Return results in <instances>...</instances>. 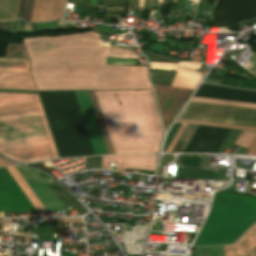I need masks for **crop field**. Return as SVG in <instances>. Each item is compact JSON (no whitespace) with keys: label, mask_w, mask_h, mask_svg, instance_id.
Instances as JSON below:
<instances>
[{"label":"crop field","mask_w":256,"mask_h":256,"mask_svg":"<svg viewBox=\"0 0 256 256\" xmlns=\"http://www.w3.org/2000/svg\"><path fill=\"white\" fill-rule=\"evenodd\" d=\"M88 4V0H83V4L82 5H86Z\"/></svg>","instance_id":"e1f06a70"},{"label":"crop field","mask_w":256,"mask_h":256,"mask_svg":"<svg viewBox=\"0 0 256 256\" xmlns=\"http://www.w3.org/2000/svg\"><path fill=\"white\" fill-rule=\"evenodd\" d=\"M256 222V198L219 194L194 246L232 244Z\"/></svg>","instance_id":"412701ff"},{"label":"crop field","mask_w":256,"mask_h":256,"mask_svg":"<svg viewBox=\"0 0 256 256\" xmlns=\"http://www.w3.org/2000/svg\"><path fill=\"white\" fill-rule=\"evenodd\" d=\"M186 4H187V0H185V4H184V8H183V10H185V8H186Z\"/></svg>","instance_id":"c035e120"},{"label":"crop field","mask_w":256,"mask_h":256,"mask_svg":"<svg viewBox=\"0 0 256 256\" xmlns=\"http://www.w3.org/2000/svg\"><path fill=\"white\" fill-rule=\"evenodd\" d=\"M77 2L81 4V3H82V0H78Z\"/></svg>","instance_id":"c21b1889"},{"label":"crop field","mask_w":256,"mask_h":256,"mask_svg":"<svg viewBox=\"0 0 256 256\" xmlns=\"http://www.w3.org/2000/svg\"><path fill=\"white\" fill-rule=\"evenodd\" d=\"M47 211H66L52 189L61 188L46 175L29 168L16 166Z\"/></svg>","instance_id":"f4fd0767"},{"label":"crop field","mask_w":256,"mask_h":256,"mask_svg":"<svg viewBox=\"0 0 256 256\" xmlns=\"http://www.w3.org/2000/svg\"><path fill=\"white\" fill-rule=\"evenodd\" d=\"M149 2H150V0H146V4H145V9H149Z\"/></svg>","instance_id":"120bbe31"},{"label":"crop field","mask_w":256,"mask_h":256,"mask_svg":"<svg viewBox=\"0 0 256 256\" xmlns=\"http://www.w3.org/2000/svg\"><path fill=\"white\" fill-rule=\"evenodd\" d=\"M194 96L256 104V91L202 84Z\"/></svg>","instance_id":"28ad6ade"},{"label":"crop field","mask_w":256,"mask_h":256,"mask_svg":"<svg viewBox=\"0 0 256 256\" xmlns=\"http://www.w3.org/2000/svg\"><path fill=\"white\" fill-rule=\"evenodd\" d=\"M255 138H256V133L255 132L241 131V133H240L239 137L237 138L235 144L250 149V147L253 144Z\"/></svg>","instance_id":"dafd665d"},{"label":"crop field","mask_w":256,"mask_h":256,"mask_svg":"<svg viewBox=\"0 0 256 256\" xmlns=\"http://www.w3.org/2000/svg\"><path fill=\"white\" fill-rule=\"evenodd\" d=\"M0 211H36L6 168H0Z\"/></svg>","instance_id":"dd49c442"},{"label":"crop field","mask_w":256,"mask_h":256,"mask_svg":"<svg viewBox=\"0 0 256 256\" xmlns=\"http://www.w3.org/2000/svg\"><path fill=\"white\" fill-rule=\"evenodd\" d=\"M0 88L36 90L30 72L0 71Z\"/></svg>","instance_id":"22f410ed"},{"label":"crop field","mask_w":256,"mask_h":256,"mask_svg":"<svg viewBox=\"0 0 256 256\" xmlns=\"http://www.w3.org/2000/svg\"><path fill=\"white\" fill-rule=\"evenodd\" d=\"M121 1V0H120ZM120 1H119V5H120Z\"/></svg>","instance_id":"b54c1fbb"},{"label":"crop field","mask_w":256,"mask_h":256,"mask_svg":"<svg viewBox=\"0 0 256 256\" xmlns=\"http://www.w3.org/2000/svg\"><path fill=\"white\" fill-rule=\"evenodd\" d=\"M14 163H11V162H8V161H5L3 159H0V166H4V165H12Z\"/></svg>","instance_id":"d3111659"},{"label":"crop field","mask_w":256,"mask_h":256,"mask_svg":"<svg viewBox=\"0 0 256 256\" xmlns=\"http://www.w3.org/2000/svg\"><path fill=\"white\" fill-rule=\"evenodd\" d=\"M206 155H183L181 166H199L204 167Z\"/></svg>","instance_id":"92a150f3"},{"label":"crop field","mask_w":256,"mask_h":256,"mask_svg":"<svg viewBox=\"0 0 256 256\" xmlns=\"http://www.w3.org/2000/svg\"><path fill=\"white\" fill-rule=\"evenodd\" d=\"M125 7H108L106 11L123 12Z\"/></svg>","instance_id":"ae1a2a85"},{"label":"crop field","mask_w":256,"mask_h":256,"mask_svg":"<svg viewBox=\"0 0 256 256\" xmlns=\"http://www.w3.org/2000/svg\"><path fill=\"white\" fill-rule=\"evenodd\" d=\"M7 170L10 172V174L13 176L15 181L18 183V185L21 187L23 192L26 194V196L29 198L31 203L34 205V207L37 210H45L43 206L40 204L36 196L33 194L27 183L24 181L20 173L17 171L15 166L8 167Z\"/></svg>","instance_id":"733c2abd"},{"label":"crop field","mask_w":256,"mask_h":256,"mask_svg":"<svg viewBox=\"0 0 256 256\" xmlns=\"http://www.w3.org/2000/svg\"><path fill=\"white\" fill-rule=\"evenodd\" d=\"M65 0H34L31 22L58 19L62 16Z\"/></svg>","instance_id":"d1516ede"},{"label":"crop field","mask_w":256,"mask_h":256,"mask_svg":"<svg viewBox=\"0 0 256 256\" xmlns=\"http://www.w3.org/2000/svg\"><path fill=\"white\" fill-rule=\"evenodd\" d=\"M87 92H88V95H89V98H90V101H91V104H92V107H93V110H94V113H95V116H96V119L98 122V126L100 129L107 153L114 154L111 144H110V141H109V138H108V135H107V132H106V129H105V126H104V122H103L94 92L93 91H87Z\"/></svg>","instance_id":"d9b57169"},{"label":"crop field","mask_w":256,"mask_h":256,"mask_svg":"<svg viewBox=\"0 0 256 256\" xmlns=\"http://www.w3.org/2000/svg\"><path fill=\"white\" fill-rule=\"evenodd\" d=\"M33 0H22L20 12L23 13L22 18L29 21Z\"/></svg>","instance_id":"00972430"},{"label":"crop field","mask_w":256,"mask_h":256,"mask_svg":"<svg viewBox=\"0 0 256 256\" xmlns=\"http://www.w3.org/2000/svg\"><path fill=\"white\" fill-rule=\"evenodd\" d=\"M241 75L244 77H247L251 80L240 79L237 87L256 89V80L253 77H251L250 75L243 74V73Z\"/></svg>","instance_id":"a9b5d70f"},{"label":"crop field","mask_w":256,"mask_h":256,"mask_svg":"<svg viewBox=\"0 0 256 256\" xmlns=\"http://www.w3.org/2000/svg\"><path fill=\"white\" fill-rule=\"evenodd\" d=\"M41 29L46 31L59 30L57 22H49V23L41 24Z\"/></svg>","instance_id":"eef30255"},{"label":"crop field","mask_w":256,"mask_h":256,"mask_svg":"<svg viewBox=\"0 0 256 256\" xmlns=\"http://www.w3.org/2000/svg\"><path fill=\"white\" fill-rule=\"evenodd\" d=\"M161 112L164 118V126L167 131L173 119L184 106L185 102L192 93L191 90L161 86L153 84Z\"/></svg>","instance_id":"e52e79f7"},{"label":"crop field","mask_w":256,"mask_h":256,"mask_svg":"<svg viewBox=\"0 0 256 256\" xmlns=\"http://www.w3.org/2000/svg\"><path fill=\"white\" fill-rule=\"evenodd\" d=\"M4 57L29 58L24 44H8Z\"/></svg>","instance_id":"bc2a9ffb"},{"label":"crop field","mask_w":256,"mask_h":256,"mask_svg":"<svg viewBox=\"0 0 256 256\" xmlns=\"http://www.w3.org/2000/svg\"><path fill=\"white\" fill-rule=\"evenodd\" d=\"M90 7H94V8H104V6H90Z\"/></svg>","instance_id":"0bd39190"},{"label":"crop field","mask_w":256,"mask_h":256,"mask_svg":"<svg viewBox=\"0 0 256 256\" xmlns=\"http://www.w3.org/2000/svg\"><path fill=\"white\" fill-rule=\"evenodd\" d=\"M70 1H74V2H76L77 0H70Z\"/></svg>","instance_id":"03da06ac"},{"label":"crop field","mask_w":256,"mask_h":256,"mask_svg":"<svg viewBox=\"0 0 256 256\" xmlns=\"http://www.w3.org/2000/svg\"><path fill=\"white\" fill-rule=\"evenodd\" d=\"M119 0H115L114 5H118ZM114 0H110V5H113ZM105 5H109V0H105Z\"/></svg>","instance_id":"bd1437ed"},{"label":"crop field","mask_w":256,"mask_h":256,"mask_svg":"<svg viewBox=\"0 0 256 256\" xmlns=\"http://www.w3.org/2000/svg\"><path fill=\"white\" fill-rule=\"evenodd\" d=\"M144 0H139L138 7H143Z\"/></svg>","instance_id":"d32e631a"},{"label":"crop field","mask_w":256,"mask_h":256,"mask_svg":"<svg viewBox=\"0 0 256 256\" xmlns=\"http://www.w3.org/2000/svg\"><path fill=\"white\" fill-rule=\"evenodd\" d=\"M176 1L177 0H171V4L170 5L176 6Z\"/></svg>","instance_id":"5866460e"},{"label":"crop field","mask_w":256,"mask_h":256,"mask_svg":"<svg viewBox=\"0 0 256 256\" xmlns=\"http://www.w3.org/2000/svg\"><path fill=\"white\" fill-rule=\"evenodd\" d=\"M126 2H130V0H122L121 4L126 3ZM136 4H137V0H134L132 9L136 10Z\"/></svg>","instance_id":"750c4746"},{"label":"crop field","mask_w":256,"mask_h":256,"mask_svg":"<svg viewBox=\"0 0 256 256\" xmlns=\"http://www.w3.org/2000/svg\"><path fill=\"white\" fill-rule=\"evenodd\" d=\"M197 126L196 125H190L187 124L184 132L182 133L180 139L183 140H190L191 136L193 135L194 131L196 130Z\"/></svg>","instance_id":"4177f3b9"},{"label":"crop field","mask_w":256,"mask_h":256,"mask_svg":"<svg viewBox=\"0 0 256 256\" xmlns=\"http://www.w3.org/2000/svg\"><path fill=\"white\" fill-rule=\"evenodd\" d=\"M39 94L60 158L94 155L74 92Z\"/></svg>","instance_id":"34b2d1b8"},{"label":"crop field","mask_w":256,"mask_h":256,"mask_svg":"<svg viewBox=\"0 0 256 256\" xmlns=\"http://www.w3.org/2000/svg\"><path fill=\"white\" fill-rule=\"evenodd\" d=\"M99 40L98 34L90 31L23 42L31 63L105 64L107 56L140 59L129 49L100 47ZM106 63L136 65L134 60L110 58ZM68 64H31L38 90L153 89L146 66Z\"/></svg>","instance_id":"8a807250"},{"label":"crop field","mask_w":256,"mask_h":256,"mask_svg":"<svg viewBox=\"0 0 256 256\" xmlns=\"http://www.w3.org/2000/svg\"><path fill=\"white\" fill-rule=\"evenodd\" d=\"M121 14H107L106 17H118Z\"/></svg>","instance_id":"1d83c4d3"},{"label":"crop field","mask_w":256,"mask_h":256,"mask_svg":"<svg viewBox=\"0 0 256 256\" xmlns=\"http://www.w3.org/2000/svg\"><path fill=\"white\" fill-rule=\"evenodd\" d=\"M155 4H156V1H155ZM155 6V5H154Z\"/></svg>","instance_id":"5d738f31"},{"label":"crop field","mask_w":256,"mask_h":256,"mask_svg":"<svg viewBox=\"0 0 256 256\" xmlns=\"http://www.w3.org/2000/svg\"><path fill=\"white\" fill-rule=\"evenodd\" d=\"M191 101L256 109V105H253V104H245V103H237V102H229V101H221V100H213V99H205V98H197V97H192Z\"/></svg>","instance_id":"214f88e0"},{"label":"crop field","mask_w":256,"mask_h":256,"mask_svg":"<svg viewBox=\"0 0 256 256\" xmlns=\"http://www.w3.org/2000/svg\"><path fill=\"white\" fill-rule=\"evenodd\" d=\"M0 70L30 71L29 60L0 59Z\"/></svg>","instance_id":"4a817a6b"},{"label":"crop field","mask_w":256,"mask_h":256,"mask_svg":"<svg viewBox=\"0 0 256 256\" xmlns=\"http://www.w3.org/2000/svg\"><path fill=\"white\" fill-rule=\"evenodd\" d=\"M200 64V62H179V64L150 62L151 69L177 70L171 86L191 90H194L202 78L201 73L192 71L199 70ZM177 67L192 70H184Z\"/></svg>","instance_id":"5a996713"},{"label":"crop field","mask_w":256,"mask_h":256,"mask_svg":"<svg viewBox=\"0 0 256 256\" xmlns=\"http://www.w3.org/2000/svg\"><path fill=\"white\" fill-rule=\"evenodd\" d=\"M19 5L20 0H0V22L17 19Z\"/></svg>","instance_id":"5142ce71"},{"label":"crop field","mask_w":256,"mask_h":256,"mask_svg":"<svg viewBox=\"0 0 256 256\" xmlns=\"http://www.w3.org/2000/svg\"><path fill=\"white\" fill-rule=\"evenodd\" d=\"M214 1H215V0H208V3H207V4L214 5Z\"/></svg>","instance_id":"028f5c9d"},{"label":"crop field","mask_w":256,"mask_h":256,"mask_svg":"<svg viewBox=\"0 0 256 256\" xmlns=\"http://www.w3.org/2000/svg\"><path fill=\"white\" fill-rule=\"evenodd\" d=\"M163 0H158L157 4H162Z\"/></svg>","instance_id":"b80d0937"},{"label":"crop field","mask_w":256,"mask_h":256,"mask_svg":"<svg viewBox=\"0 0 256 256\" xmlns=\"http://www.w3.org/2000/svg\"><path fill=\"white\" fill-rule=\"evenodd\" d=\"M229 130L198 126L184 152L217 153Z\"/></svg>","instance_id":"d8731c3e"},{"label":"crop field","mask_w":256,"mask_h":256,"mask_svg":"<svg viewBox=\"0 0 256 256\" xmlns=\"http://www.w3.org/2000/svg\"><path fill=\"white\" fill-rule=\"evenodd\" d=\"M225 256H256V224L233 246H224Z\"/></svg>","instance_id":"cbeb9de0"},{"label":"crop field","mask_w":256,"mask_h":256,"mask_svg":"<svg viewBox=\"0 0 256 256\" xmlns=\"http://www.w3.org/2000/svg\"><path fill=\"white\" fill-rule=\"evenodd\" d=\"M0 154L20 163L58 158L37 94L0 93Z\"/></svg>","instance_id":"ac0d7876"},{"label":"crop field","mask_w":256,"mask_h":256,"mask_svg":"<svg viewBox=\"0 0 256 256\" xmlns=\"http://www.w3.org/2000/svg\"><path fill=\"white\" fill-rule=\"evenodd\" d=\"M185 126H186V124H181L180 128L178 129L176 135L174 136L173 140L171 141V143H170L169 147L167 148L166 152H171L172 148L174 147L176 141L178 140V138L181 135Z\"/></svg>","instance_id":"730fd06b"},{"label":"crop field","mask_w":256,"mask_h":256,"mask_svg":"<svg viewBox=\"0 0 256 256\" xmlns=\"http://www.w3.org/2000/svg\"><path fill=\"white\" fill-rule=\"evenodd\" d=\"M95 155L107 154L86 91H74Z\"/></svg>","instance_id":"3316defc"}]
</instances>
